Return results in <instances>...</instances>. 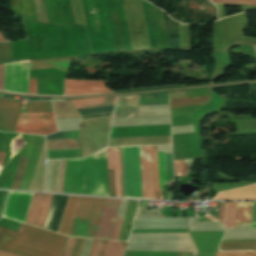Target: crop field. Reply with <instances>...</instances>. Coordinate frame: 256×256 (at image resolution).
Returning a JSON list of instances; mask_svg holds the SVG:
<instances>
[{"mask_svg": "<svg viewBox=\"0 0 256 256\" xmlns=\"http://www.w3.org/2000/svg\"><path fill=\"white\" fill-rule=\"evenodd\" d=\"M66 236L22 224L15 233L0 228V250L20 256H61ZM0 251V256H17Z\"/></svg>", "mask_w": 256, "mask_h": 256, "instance_id": "8a807250", "label": "crop field"}, {"mask_svg": "<svg viewBox=\"0 0 256 256\" xmlns=\"http://www.w3.org/2000/svg\"><path fill=\"white\" fill-rule=\"evenodd\" d=\"M84 168L86 193L108 195L106 149L85 159ZM84 168L83 159L66 160L63 192L85 194Z\"/></svg>", "mask_w": 256, "mask_h": 256, "instance_id": "ac0d7876", "label": "crop field"}, {"mask_svg": "<svg viewBox=\"0 0 256 256\" xmlns=\"http://www.w3.org/2000/svg\"><path fill=\"white\" fill-rule=\"evenodd\" d=\"M69 59H48L30 61V70L55 68L68 71ZM29 61L5 64L4 90L28 93Z\"/></svg>", "mask_w": 256, "mask_h": 256, "instance_id": "34b2d1b8", "label": "crop field"}, {"mask_svg": "<svg viewBox=\"0 0 256 256\" xmlns=\"http://www.w3.org/2000/svg\"><path fill=\"white\" fill-rule=\"evenodd\" d=\"M104 200L80 197L68 235L94 238Z\"/></svg>", "mask_w": 256, "mask_h": 256, "instance_id": "412701ff", "label": "crop field"}, {"mask_svg": "<svg viewBox=\"0 0 256 256\" xmlns=\"http://www.w3.org/2000/svg\"><path fill=\"white\" fill-rule=\"evenodd\" d=\"M125 197L142 199L139 147H122Z\"/></svg>", "mask_w": 256, "mask_h": 256, "instance_id": "f4fd0767", "label": "crop field"}, {"mask_svg": "<svg viewBox=\"0 0 256 256\" xmlns=\"http://www.w3.org/2000/svg\"><path fill=\"white\" fill-rule=\"evenodd\" d=\"M55 131L53 113H20L15 132L47 135Z\"/></svg>", "mask_w": 256, "mask_h": 256, "instance_id": "dd49c442", "label": "crop field"}, {"mask_svg": "<svg viewBox=\"0 0 256 256\" xmlns=\"http://www.w3.org/2000/svg\"><path fill=\"white\" fill-rule=\"evenodd\" d=\"M52 196L34 193L25 222L43 228Z\"/></svg>", "mask_w": 256, "mask_h": 256, "instance_id": "e52e79f7", "label": "crop field"}, {"mask_svg": "<svg viewBox=\"0 0 256 256\" xmlns=\"http://www.w3.org/2000/svg\"><path fill=\"white\" fill-rule=\"evenodd\" d=\"M143 199H155L151 146L140 147Z\"/></svg>", "mask_w": 256, "mask_h": 256, "instance_id": "d8731c3e", "label": "crop field"}, {"mask_svg": "<svg viewBox=\"0 0 256 256\" xmlns=\"http://www.w3.org/2000/svg\"><path fill=\"white\" fill-rule=\"evenodd\" d=\"M33 193L11 192L4 216L25 221Z\"/></svg>", "mask_w": 256, "mask_h": 256, "instance_id": "5a996713", "label": "crop field"}, {"mask_svg": "<svg viewBox=\"0 0 256 256\" xmlns=\"http://www.w3.org/2000/svg\"><path fill=\"white\" fill-rule=\"evenodd\" d=\"M121 200L106 199L95 238L110 239Z\"/></svg>", "mask_w": 256, "mask_h": 256, "instance_id": "3316defc", "label": "crop field"}, {"mask_svg": "<svg viewBox=\"0 0 256 256\" xmlns=\"http://www.w3.org/2000/svg\"><path fill=\"white\" fill-rule=\"evenodd\" d=\"M112 92L103 80H65V95H82Z\"/></svg>", "mask_w": 256, "mask_h": 256, "instance_id": "28ad6ade", "label": "crop field"}, {"mask_svg": "<svg viewBox=\"0 0 256 256\" xmlns=\"http://www.w3.org/2000/svg\"><path fill=\"white\" fill-rule=\"evenodd\" d=\"M21 102L0 98V129L14 132Z\"/></svg>", "mask_w": 256, "mask_h": 256, "instance_id": "d1516ede", "label": "crop field"}, {"mask_svg": "<svg viewBox=\"0 0 256 256\" xmlns=\"http://www.w3.org/2000/svg\"><path fill=\"white\" fill-rule=\"evenodd\" d=\"M79 131L57 132L46 139L77 138ZM78 140V138H77ZM76 139L46 140L47 150L79 148ZM79 143V141H78Z\"/></svg>", "mask_w": 256, "mask_h": 256, "instance_id": "22f410ed", "label": "crop field"}, {"mask_svg": "<svg viewBox=\"0 0 256 256\" xmlns=\"http://www.w3.org/2000/svg\"><path fill=\"white\" fill-rule=\"evenodd\" d=\"M140 95L117 97L113 118L136 117Z\"/></svg>", "mask_w": 256, "mask_h": 256, "instance_id": "cbeb9de0", "label": "crop field"}, {"mask_svg": "<svg viewBox=\"0 0 256 256\" xmlns=\"http://www.w3.org/2000/svg\"><path fill=\"white\" fill-rule=\"evenodd\" d=\"M253 202H237L234 228L251 227Z\"/></svg>", "mask_w": 256, "mask_h": 256, "instance_id": "5142ce71", "label": "crop field"}, {"mask_svg": "<svg viewBox=\"0 0 256 256\" xmlns=\"http://www.w3.org/2000/svg\"><path fill=\"white\" fill-rule=\"evenodd\" d=\"M256 198V185L245 188H240L232 191L219 193L213 200L216 199H252Z\"/></svg>", "mask_w": 256, "mask_h": 256, "instance_id": "d9b57169", "label": "crop field"}, {"mask_svg": "<svg viewBox=\"0 0 256 256\" xmlns=\"http://www.w3.org/2000/svg\"><path fill=\"white\" fill-rule=\"evenodd\" d=\"M78 197L76 196H69L68 201L65 207V211L62 217V221L59 227V233L68 234L69 226L71 223V219L74 213V209L77 203Z\"/></svg>", "mask_w": 256, "mask_h": 256, "instance_id": "733c2abd", "label": "crop field"}, {"mask_svg": "<svg viewBox=\"0 0 256 256\" xmlns=\"http://www.w3.org/2000/svg\"><path fill=\"white\" fill-rule=\"evenodd\" d=\"M114 98H115V96H111V97H104V98L73 100L71 102L75 106L76 109H81V108L113 105Z\"/></svg>", "mask_w": 256, "mask_h": 256, "instance_id": "4a817a6b", "label": "crop field"}, {"mask_svg": "<svg viewBox=\"0 0 256 256\" xmlns=\"http://www.w3.org/2000/svg\"><path fill=\"white\" fill-rule=\"evenodd\" d=\"M256 249V239L223 240L220 250Z\"/></svg>", "mask_w": 256, "mask_h": 256, "instance_id": "bc2a9ffb", "label": "crop field"}, {"mask_svg": "<svg viewBox=\"0 0 256 256\" xmlns=\"http://www.w3.org/2000/svg\"><path fill=\"white\" fill-rule=\"evenodd\" d=\"M107 242L103 240L99 256H104ZM127 242L109 241L105 256H123Z\"/></svg>", "mask_w": 256, "mask_h": 256, "instance_id": "214f88e0", "label": "crop field"}, {"mask_svg": "<svg viewBox=\"0 0 256 256\" xmlns=\"http://www.w3.org/2000/svg\"><path fill=\"white\" fill-rule=\"evenodd\" d=\"M109 168L115 169L117 196L121 197L118 148H107Z\"/></svg>", "mask_w": 256, "mask_h": 256, "instance_id": "92a150f3", "label": "crop field"}, {"mask_svg": "<svg viewBox=\"0 0 256 256\" xmlns=\"http://www.w3.org/2000/svg\"><path fill=\"white\" fill-rule=\"evenodd\" d=\"M169 103L168 92L141 94L139 105Z\"/></svg>", "mask_w": 256, "mask_h": 256, "instance_id": "dafd665d", "label": "crop field"}, {"mask_svg": "<svg viewBox=\"0 0 256 256\" xmlns=\"http://www.w3.org/2000/svg\"><path fill=\"white\" fill-rule=\"evenodd\" d=\"M210 96L170 100L171 107L206 104Z\"/></svg>", "mask_w": 256, "mask_h": 256, "instance_id": "00972430", "label": "crop field"}, {"mask_svg": "<svg viewBox=\"0 0 256 256\" xmlns=\"http://www.w3.org/2000/svg\"><path fill=\"white\" fill-rule=\"evenodd\" d=\"M193 158L174 161L175 176H187Z\"/></svg>", "mask_w": 256, "mask_h": 256, "instance_id": "a9b5d70f", "label": "crop field"}, {"mask_svg": "<svg viewBox=\"0 0 256 256\" xmlns=\"http://www.w3.org/2000/svg\"><path fill=\"white\" fill-rule=\"evenodd\" d=\"M30 157L22 156L10 189H18Z\"/></svg>", "mask_w": 256, "mask_h": 256, "instance_id": "4177f3b9", "label": "crop field"}, {"mask_svg": "<svg viewBox=\"0 0 256 256\" xmlns=\"http://www.w3.org/2000/svg\"><path fill=\"white\" fill-rule=\"evenodd\" d=\"M26 112H53L51 102H28Z\"/></svg>", "mask_w": 256, "mask_h": 256, "instance_id": "730fd06b", "label": "crop field"}, {"mask_svg": "<svg viewBox=\"0 0 256 256\" xmlns=\"http://www.w3.org/2000/svg\"><path fill=\"white\" fill-rule=\"evenodd\" d=\"M236 202H227L225 222L226 228H233Z\"/></svg>", "mask_w": 256, "mask_h": 256, "instance_id": "eef30255", "label": "crop field"}, {"mask_svg": "<svg viewBox=\"0 0 256 256\" xmlns=\"http://www.w3.org/2000/svg\"><path fill=\"white\" fill-rule=\"evenodd\" d=\"M152 152H153V166H154V179H155V193L157 192L160 196L159 200H163L162 193L159 189V180H158V166H157V152H156V146H152ZM156 199L157 195H156Z\"/></svg>", "mask_w": 256, "mask_h": 256, "instance_id": "ae1a2a85", "label": "crop field"}, {"mask_svg": "<svg viewBox=\"0 0 256 256\" xmlns=\"http://www.w3.org/2000/svg\"><path fill=\"white\" fill-rule=\"evenodd\" d=\"M112 108H113V106L100 107V108H90V109H81V110H78V112L81 115H86V114H94V113H101V112H109V111H112Z\"/></svg>", "mask_w": 256, "mask_h": 256, "instance_id": "d3111659", "label": "crop field"}, {"mask_svg": "<svg viewBox=\"0 0 256 256\" xmlns=\"http://www.w3.org/2000/svg\"><path fill=\"white\" fill-rule=\"evenodd\" d=\"M215 254L216 256H256V251L221 252Z\"/></svg>", "mask_w": 256, "mask_h": 256, "instance_id": "750c4746", "label": "crop field"}, {"mask_svg": "<svg viewBox=\"0 0 256 256\" xmlns=\"http://www.w3.org/2000/svg\"><path fill=\"white\" fill-rule=\"evenodd\" d=\"M158 161H159L160 188L162 190L163 189L162 185H165L163 153H158Z\"/></svg>", "mask_w": 256, "mask_h": 256, "instance_id": "bd1437ed", "label": "crop field"}, {"mask_svg": "<svg viewBox=\"0 0 256 256\" xmlns=\"http://www.w3.org/2000/svg\"><path fill=\"white\" fill-rule=\"evenodd\" d=\"M211 1L212 2H219V3L256 5V0H211Z\"/></svg>", "mask_w": 256, "mask_h": 256, "instance_id": "1d83c4d3", "label": "crop field"}, {"mask_svg": "<svg viewBox=\"0 0 256 256\" xmlns=\"http://www.w3.org/2000/svg\"><path fill=\"white\" fill-rule=\"evenodd\" d=\"M76 238L68 237L63 256H71Z\"/></svg>", "mask_w": 256, "mask_h": 256, "instance_id": "120bbe31", "label": "crop field"}, {"mask_svg": "<svg viewBox=\"0 0 256 256\" xmlns=\"http://www.w3.org/2000/svg\"><path fill=\"white\" fill-rule=\"evenodd\" d=\"M123 219L124 218H120V217L116 218V222H115V226H114V230H113V234H112L111 239H114V240L118 239V235H119V232H120V228H121Z\"/></svg>", "mask_w": 256, "mask_h": 256, "instance_id": "d32e631a", "label": "crop field"}, {"mask_svg": "<svg viewBox=\"0 0 256 256\" xmlns=\"http://www.w3.org/2000/svg\"><path fill=\"white\" fill-rule=\"evenodd\" d=\"M110 196H116L114 170L109 169Z\"/></svg>", "mask_w": 256, "mask_h": 256, "instance_id": "5866460e", "label": "crop field"}, {"mask_svg": "<svg viewBox=\"0 0 256 256\" xmlns=\"http://www.w3.org/2000/svg\"><path fill=\"white\" fill-rule=\"evenodd\" d=\"M102 240L94 239L89 256H98Z\"/></svg>", "mask_w": 256, "mask_h": 256, "instance_id": "028f5c9d", "label": "crop field"}, {"mask_svg": "<svg viewBox=\"0 0 256 256\" xmlns=\"http://www.w3.org/2000/svg\"><path fill=\"white\" fill-rule=\"evenodd\" d=\"M84 238H77L72 256H79ZM85 240V239H84Z\"/></svg>", "mask_w": 256, "mask_h": 256, "instance_id": "e1f06a70", "label": "crop field"}, {"mask_svg": "<svg viewBox=\"0 0 256 256\" xmlns=\"http://www.w3.org/2000/svg\"><path fill=\"white\" fill-rule=\"evenodd\" d=\"M29 93L37 94V78H30Z\"/></svg>", "mask_w": 256, "mask_h": 256, "instance_id": "0bd39190", "label": "crop field"}, {"mask_svg": "<svg viewBox=\"0 0 256 256\" xmlns=\"http://www.w3.org/2000/svg\"><path fill=\"white\" fill-rule=\"evenodd\" d=\"M226 202H220L218 220L223 223Z\"/></svg>", "mask_w": 256, "mask_h": 256, "instance_id": "b80d0937", "label": "crop field"}, {"mask_svg": "<svg viewBox=\"0 0 256 256\" xmlns=\"http://www.w3.org/2000/svg\"><path fill=\"white\" fill-rule=\"evenodd\" d=\"M119 156H120V172H121V189H122V197H124L121 147L119 148Z\"/></svg>", "mask_w": 256, "mask_h": 256, "instance_id": "c035e120", "label": "crop field"}, {"mask_svg": "<svg viewBox=\"0 0 256 256\" xmlns=\"http://www.w3.org/2000/svg\"><path fill=\"white\" fill-rule=\"evenodd\" d=\"M4 64L0 65V89L3 90Z\"/></svg>", "mask_w": 256, "mask_h": 256, "instance_id": "c21b1889", "label": "crop field"}, {"mask_svg": "<svg viewBox=\"0 0 256 256\" xmlns=\"http://www.w3.org/2000/svg\"><path fill=\"white\" fill-rule=\"evenodd\" d=\"M64 165H65V160H63V165H62V175H61V183H60V189H59V192H62L63 176H64Z\"/></svg>", "mask_w": 256, "mask_h": 256, "instance_id": "03da06ac", "label": "crop field"}, {"mask_svg": "<svg viewBox=\"0 0 256 256\" xmlns=\"http://www.w3.org/2000/svg\"><path fill=\"white\" fill-rule=\"evenodd\" d=\"M252 222H256V202H254Z\"/></svg>", "mask_w": 256, "mask_h": 256, "instance_id": "b54c1fbb", "label": "crop field"}, {"mask_svg": "<svg viewBox=\"0 0 256 256\" xmlns=\"http://www.w3.org/2000/svg\"><path fill=\"white\" fill-rule=\"evenodd\" d=\"M208 191H210V189H208V188H206L205 190H203V191L200 193V195L196 198V200H200V198H201L204 194H206Z\"/></svg>", "mask_w": 256, "mask_h": 256, "instance_id": "5d738f31", "label": "crop field"}, {"mask_svg": "<svg viewBox=\"0 0 256 256\" xmlns=\"http://www.w3.org/2000/svg\"><path fill=\"white\" fill-rule=\"evenodd\" d=\"M5 154H6V153L0 152V165L3 164Z\"/></svg>", "mask_w": 256, "mask_h": 256, "instance_id": "d23c7cc5", "label": "crop field"}, {"mask_svg": "<svg viewBox=\"0 0 256 256\" xmlns=\"http://www.w3.org/2000/svg\"><path fill=\"white\" fill-rule=\"evenodd\" d=\"M0 42H6L5 38L0 33Z\"/></svg>", "mask_w": 256, "mask_h": 256, "instance_id": "425ffa30", "label": "crop field"}, {"mask_svg": "<svg viewBox=\"0 0 256 256\" xmlns=\"http://www.w3.org/2000/svg\"><path fill=\"white\" fill-rule=\"evenodd\" d=\"M206 217H207L208 219H210L211 221H216V220L213 219L209 214H207Z\"/></svg>", "mask_w": 256, "mask_h": 256, "instance_id": "25e5ab78", "label": "crop field"}]
</instances>
